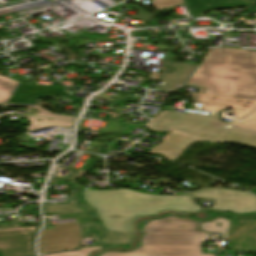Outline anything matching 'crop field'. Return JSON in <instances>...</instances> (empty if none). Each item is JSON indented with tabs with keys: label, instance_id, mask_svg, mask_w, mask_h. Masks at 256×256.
Instances as JSON below:
<instances>
[{
	"label": "crop field",
	"instance_id": "8a807250",
	"mask_svg": "<svg viewBox=\"0 0 256 256\" xmlns=\"http://www.w3.org/2000/svg\"><path fill=\"white\" fill-rule=\"evenodd\" d=\"M82 195L87 205L97 209L96 215L109 231L104 238L107 244H112L111 231L132 232L136 216H151L167 209L181 213L201 210L189 195L153 196L128 189L83 190ZM109 215L122 216L111 219Z\"/></svg>",
	"mask_w": 256,
	"mask_h": 256
},
{
	"label": "crop field",
	"instance_id": "ac0d7876",
	"mask_svg": "<svg viewBox=\"0 0 256 256\" xmlns=\"http://www.w3.org/2000/svg\"><path fill=\"white\" fill-rule=\"evenodd\" d=\"M218 222L221 227L216 226ZM229 223V220L217 218L211 224L203 222L201 229L204 232H197L195 221L174 215L148 220L143 226L142 247L130 252H103L98 256H215L202 252L201 244L208 240L206 232L223 233V240H226Z\"/></svg>",
	"mask_w": 256,
	"mask_h": 256
},
{
	"label": "crop field",
	"instance_id": "34b2d1b8",
	"mask_svg": "<svg viewBox=\"0 0 256 256\" xmlns=\"http://www.w3.org/2000/svg\"><path fill=\"white\" fill-rule=\"evenodd\" d=\"M148 127L155 131H172L163 142L148 153H163L174 160L191 142L206 140L212 142L228 141L256 147V131L233 127L219 122L218 117L193 114L185 115L165 111Z\"/></svg>",
	"mask_w": 256,
	"mask_h": 256
},
{
	"label": "crop field",
	"instance_id": "412701ff",
	"mask_svg": "<svg viewBox=\"0 0 256 256\" xmlns=\"http://www.w3.org/2000/svg\"><path fill=\"white\" fill-rule=\"evenodd\" d=\"M187 83L205 87L209 94L256 100V51L209 50Z\"/></svg>",
	"mask_w": 256,
	"mask_h": 256
},
{
	"label": "crop field",
	"instance_id": "f4fd0767",
	"mask_svg": "<svg viewBox=\"0 0 256 256\" xmlns=\"http://www.w3.org/2000/svg\"><path fill=\"white\" fill-rule=\"evenodd\" d=\"M192 195L193 197L215 199V204L208 211H231L237 215L256 213V197L246 192L212 188L192 192Z\"/></svg>",
	"mask_w": 256,
	"mask_h": 256
},
{
	"label": "crop field",
	"instance_id": "dd49c442",
	"mask_svg": "<svg viewBox=\"0 0 256 256\" xmlns=\"http://www.w3.org/2000/svg\"><path fill=\"white\" fill-rule=\"evenodd\" d=\"M65 89L48 86H32L0 75V105L24 104L28 98L45 94L62 95Z\"/></svg>",
	"mask_w": 256,
	"mask_h": 256
},
{
	"label": "crop field",
	"instance_id": "e52e79f7",
	"mask_svg": "<svg viewBox=\"0 0 256 256\" xmlns=\"http://www.w3.org/2000/svg\"><path fill=\"white\" fill-rule=\"evenodd\" d=\"M39 227L0 230V251L4 256H35L34 238Z\"/></svg>",
	"mask_w": 256,
	"mask_h": 256
},
{
	"label": "crop field",
	"instance_id": "d8731c3e",
	"mask_svg": "<svg viewBox=\"0 0 256 256\" xmlns=\"http://www.w3.org/2000/svg\"><path fill=\"white\" fill-rule=\"evenodd\" d=\"M80 245V227L45 231L39 239V253L67 251Z\"/></svg>",
	"mask_w": 256,
	"mask_h": 256
},
{
	"label": "crop field",
	"instance_id": "5a996713",
	"mask_svg": "<svg viewBox=\"0 0 256 256\" xmlns=\"http://www.w3.org/2000/svg\"><path fill=\"white\" fill-rule=\"evenodd\" d=\"M192 101L200 103L205 110L217 112L224 107H234V115L240 119L245 114L256 108L255 100H247L233 97L209 95V94H194Z\"/></svg>",
	"mask_w": 256,
	"mask_h": 256
},
{
	"label": "crop field",
	"instance_id": "3316defc",
	"mask_svg": "<svg viewBox=\"0 0 256 256\" xmlns=\"http://www.w3.org/2000/svg\"><path fill=\"white\" fill-rule=\"evenodd\" d=\"M248 239L254 242H248ZM235 244L237 247H234ZM227 247L238 250H256V219L231 220Z\"/></svg>",
	"mask_w": 256,
	"mask_h": 256
},
{
	"label": "crop field",
	"instance_id": "28ad6ade",
	"mask_svg": "<svg viewBox=\"0 0 256 256\" xmlns=\"http://www.w3.org/2000/svg\"><path fill=\"white\" fill-rule=\"evenodd\" d=\"M192 16L218 8L236 7L245 0H184Z\"/></svg>",
	"mask_w": 256,
	"mask_h": 256
},
{
	"label": "crop field",
	"instance_id": "d1516ede",
	"mask_svg": "<svg viewBox=\"0 0 256 256\" xmlns=\"http://www.w3.org/2000/svg\"><path fill=\"white\" fill-rule=\"evenodd\" d=\"M24 117H28V121L30 123L29 128H27L28 131L46 128V127H50L53 125L72 128L73 123H74L71 121L38 118V117H31V116H24Z\"/></svg>",
	"mask_w": 256,
	"mask_h": 256
},
{
	"label": "crop field",
	"instance_id": "22f410ed",
	"mask_svg": "<svg viewBox=\"0 0 256 256\" xmlns=\"http://www.w3.org/2000/svg\"><path fill=\"white\" fill-rule=\"evenodd\" d=\"M60 216L62 219L76 218L77 223L56 225L55 227H53V229L77 227V226H80L82 223L87 224V225H94V222L88 213L65 214V215H60Z\"/></svg>",
	"mask_w": 256,
	"mask_h": 256
},
{
	"label": "crop field",
	"instance_id": "cbeb9de0",
	"mask_svg": "<svg viewBox=\"0 0 256 256\" xmlns=\"http://www.w3.org/2000/svg\"><path fill=\"white\" fill-rule=\"evenodd\" d=\"M19 107H28L27 110H26L27 115H32L30 112L33 111L35 116H43V117L59 118V119H68V120H75V118H76V117H73V116H66V115H59V114L50 113V112L44 110L40 106H19ZM31 107L39 110V113L35 110L29 111Z\"/></svg>",
	"mask_w": 256,
	"mask_h": 256
},
{
	"label": "crop field",
	"instance_id": "5142ce71",
	"mask_svg": "<svg viewBox=\"0 0 256 256\" xmlns=\"http://www.w3.org/2000/svg\"><path fill=\"white\" fill-rule=\"evenodd\" d=\"M101 248L102 247L80 248L81 251L60 253V254H52V255H44V256H89L91 252H93L97 249H101Z\"/></svg>",
	"mask_w": 256,
	"mask_h": 256
},
{
	"label": "crop field",
	"instance_id": "d9b57169",
	"mask_svg": "<svg viewBox=\"0 0 256 256\" xmlns=\"http://www.w3.org/2000/svg\"><path fill=\"white\" fill-rule=\"evenodd\" d=\"M183 3V0H152V5L156 7L158 10Z\"/></svg>",
	"mask_w": 256,
	"mask_h": 256
},
{
	"label": "crop field",
	"instance_id": "733c2abd",
	"mask_svg": "<svg viewBox=\"0 0 256 256\" xmlns=\"http://www.w3.org/2000/svg\"><path fill=\"white\" fill-rule=\"evenodd\" d=\"M235 125L256 130V111Z\"/></svg>",
	"mask_w": 256,
	"mask_h": 256
},
{
	"label": "crop field",
	"instance_id": "4a817a6b",
	"mask_svg": "<svg viewBox=\"0 0 256 256\" xmlns=\"http://www.w3.org/2000/svg\"><path fill=\"white\" fill-rule=\"evenodd\" d=\"M143 11L138 12V16L142 20L150 21L153 18V14L147 12L146 10L142 9Z\"/></svg>",
	"mask_w": 256,
	"mask_h": 256
},
{
	"label": "crop field",
	"instance_id": "bc2a9ffb",
	"mask_svg": "<svg viewBox=\"0 0 256 256\" xmlns=\"http://www.w3.org/2000/svg\"><path fill=\"white\" fill-rule=\"evenodd\" d=\"M248 3L252 4L254 2H256V0H246Z\"/></svg>",
	"mask_w": 256,
	"mask_h": 256
},
{
	"label": "crop field",
	"instance_id": "214f88e0",
	"mask_svg": "<svg viewBox=\"0 0 256 256\" xmlns=\"http://www.w3.org/2000/svg\"><path fill=\"white\" fill-rule=\"evenodd\" d=\"M251 192L254 193V194H256V188L251 189Z\"/></svg>",
	"mask_w": 256,
	"mask_h": 256
},
{
	"label": "crop field",
	"instance_id": "92a150f3",
	"mask_svg": "<svg viewBox=\"0 0 256 256\" xmlns=\"http://www.w3.org/2000/svg\"><path fill=\"white\" fill-rule=\"evenodd\" d=\"M0 256H2V253L0 252Z\"/></svg>",
	"mask_w": 256,
	"mask_h": 256
}]
</instances>
